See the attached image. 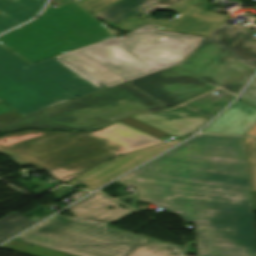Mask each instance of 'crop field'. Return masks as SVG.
Returning <instances> with one entry per match:
<instances>
[{
  "label": "crop field",
  "instance_id": "8a807250",
  "mask_svg": "<svg viewBox=\"0 0 256 256\" xmlns=\"http://www.w3.org/2000/svg\"><path fill=\"white\" fill-rule=\"evenodd\" d=\"M127 34L30 65L0 47V103L24 116L175 66L204 39L150 25Z\"/></svg>",
  "mask_w": 256,
  "mask_h": 256
},
{
  "label": "crop field",
  "instance_id": "ac0d7876",
  "mask_svg": "<svg viewBox=\"0 0 256 256\" xmlns=\"http://www.w3.org/2000/svg\"><path fill=\"white\" fill-rule=\"evenodd\" d=\"M195 224L197 256H256L253 213L176 202ZM109 222L57 215L14 239L76 256H181L183 248L107 227Z\"/></svg>",
  "mask_w": 256,
  "mask_h": 256
},
{
  "label": "crop field",
  "instance_id": "34b2d1b8",
  "mask_svg": "<svg viewBox=\"0 0 256 256\" xmlns=\"http://www.w3.org/2000/svg\"><path fill=\"white\" fill-rule=\"evenodd\" d=\"M155 138L120 122L95 132L25 130L0 136V154L65 183L110 158L165 142Z\"/></svg>",
  "mask_w": 256,
  "mask_h": 256
},
{
  "label": "crop field",
  "instance_id": "412701ff",
  "mask_svg": "<svg viewBox=\"0 0 256 256\" xmlns=\"http://www.w3.org/2000/svg\"><path fill=\"white\" fill-rule=\"evenodd\" d=\"M116 36L77 4L45 12L0 37V44L32 63Z\"/></svg>",
  "mask_w": 256,
  "mask_h": 256
},
{
  "label": "crop field",
  "instance_id": "f4fd0767",
  "mask_svg": "<svg viewBox=\"0 0 256 256\" xmlns=\"http://www.w3.org/2000/svg\"><path fill=\"white\" fill-rule=\"evenodd\" d=\"M167 108L125 83L0 124V132L25 128L93 130L133 113Z\"/></svg>",
  "mask_w": 256,
  "mask_h": 256
},
{
  "label": "crop field",
  "instance_id": "dd49c442",
  "mask_svg": "<svg viewBox=\"0 0 256 256\" xmlns=\"http://www.w3.org/2000/svg\"><path fill=\"white\" fill-rule=\"evenodd\" d=\"M134 171L250 186L239 136L198 134Z\"/></svg>",
  "mask_w": 256,
  "mask_h": 256
},
{
  "label": "crop field",
  "instance_id": "e52e79f7",
  "mask_svg": "<svg viewBox=\"0 0 256 256\" xmlns=\"http://www.w3.org/2000/svg\"><path fill=\"white\" fill-rule=\"evenodd\" d=\"M115 182L136 188L137 202L161 204L172 213H185L172 200L252 209L246 186L135 172Z\"/></svg>",
  "mask_w": 256,
  "mask_h": 256
},
{
  "label": "crop field",
  "instance_id": "d8731c3e",
  "mask_svg": "<svg viewBox=\"0 0 256 256\" xmlns=\"http://www.w3.org/2000/svg\"><path fill=\"white\" fill-rule=\"evenodd\" d=\"M244 32L239 28L217 27L176 67L237 95L256 69L240 74L217 61Z\"/></svg>",
  "mask_w": 256,
  "mask_h": 256
},
{
  "label": "crop field",
  "instance_id": "5a996713",
  "mask_svg": "<svg viewBox=\"0 0 256 256\" xmlns=\"http://www.w3.org/2000/svg\"><path fill=\"white\" fill-rule=\"evenodd\" d=\"M127 83L170 108L217 88L174 66Z\"/></svg>",
  "mask_w": 256,
  "mask_h": 256
},
{
  "label": "crop field",
  "instance_id": "3316defc",
  "mask_svg": "<svg viewBox=\"0 0 256 256\" xmlns=\"http://www.w3.org/2000/svg\"><path fill=\"white\" fill-rule=\"evenodd\" d=\"M194 0H182L164 10L179 13L173 22L155 21L150 24L161 30H169L184 34H196L207 37L228 16L205 11L188 3Z\"/></svg>",
  "mask_w": 256,
  "mask_h": 256
},
{
  "label": "crop field",
  "instance_id": "28ad6ade",
  "mask_svg": "<svg viewBox=\"0 0 256 256\" xmlns=\"http://www.w3.org/2000/svg\"><path fill=\"white\" fill-rule=\"evenodd\" d=\"M189 137V136H188ZM187 138V137H185ZM185 138L178 139L172 142H168L165 144H161L155 147H151L145 150H141L129 155H125L112 161H107L100 166H96L97 168L83 174L82 176L66 183L69 185H75L79 182L87 185L85 189H93L97 188L118 176L126 173L127 171L133 169L138 164L148 160L149 158L155 156L161 151L179 143Z\"/></svg>",
  "mask_w": 256,
  "mask_h": 256
},
{
  "label": "crop field",
  "instance_id": "d1516ede",
  "mask_svg": "<svg viewBox=\"0 0 256 256\" xmlns=\"http://www.w3.org/2000/svg\"><path fill=\"white\" fill-rule=\"evenodd\" d=\"M176 137L195 132L206 119L184 109L171 112L140 114L131 116Z\"/></svg>",
  "mask_w": 256,
  "mask_h": 256
},
{
  "label": "crop field",
  "instance_id": "22f410ed",
  "mask_svg": "<svg viewBox=\"0 0 256 256\" xmlns=\"http://www.w3.org/2000/svg\"><path fill=\"white\" fill-rule=\"evenodd\" d=\"M256 122V109L237 100L203 132L245 135Z\"/></svg>",
  "mask_w": 256,
  "mask_h": 256
},
{
  "label": "crop field",
  "instance_id": "cbeb9de0",
  "mask_svg": "<svg viewBox=\"0 0 256 256\" xmlns=\"http://www.w3.org/2000/svg\"><path fill=\"white\" fill-rule=\"evenodd\" d=\"M119 204V202L96 192L67 209L73 216L114 222L135 212L131 209H121L118 207ZM107 206L114 207V209L108 210Z\"/></svg>",
  "mask_w": 256,
  "mask_h": 256
},
{
  "label": "crop field",
  "instance_id": "5142ce71",
  "mask_svg": "<svg viewBox=\"0 0 256 256\" xmlns=\"http://www.w3.org/2000/svg\"><path fill=\"white\" fill-rule=\"evenodd\" d=\"M248 30L218 61L240 73L256 68V37Z\"/></svg>",
  "mask_w": 256,
  "mask_h": 256
},
{
  "label": "crop field",
  "instance_id": "d9b57169",
  "mask_svg": "<svg viewBox=\"0 0 256 256\" xmlns=\"http://www.w3.org/2000/svg\"><path fill=\"white\" fill-rule=\"evenodd\" d=\"M45 1L0 0V33L37 15Z\"/></svg>",
  "mask_w": 256,
  "mask_h": 256
},
{
  "label": "crop field",
  "instance_id": "733c2abd",
  "mask_svg": "<svg viewBox=\"0 0 256 256\" xmlns=\"http://www.w3.org/2000/svg\"><path fill=\"white\" fill-rule=\"evenodd\" d=\"M158 1L160 0H121L94 16L119 24Z\"/></svg>",
  "mask_w": 256,
  "mask_h": 256
},
{
  "label": "crop field",
  "instance_id": "4a817a6b",
  "mask_svg": "<svg viewBox=\"0 0 256 256\" xmlns=\"http://www.w3.org/2000/svg\"><path fill=\"white\" fill-rule=\"evenodd\" d=\"M216 92H219L218 96H213V94L202 96L182 107L210 118L212 115L218 112L231 98L234 97L221 90Z\"/></svg>",
  "mask_w": 256,
  "mask_h": 256
},
{
  "label": "crop field",
  "instance_id": "bc2a9ffb",
  "mask_svg": "<svg viewBox=\"0 0 256 256\" xmlns=\"http://www.w3.org/2000/svg\"><path fill=\"white\" fill-rule=\"evenodd\" d=\"M36 222V220L27 218L14 212L1 218L0 243Z\"/></svg>",
  "mask_w": 256,
  "mask_h": 256
},
{
  "label": "crop field",
  "instance_id": "214f88e0",
  "mask_svg": "<svg viewBox=\"0 0 256 256\" xmlns=\"http://www.w3.org/2000/svg\"><path fill=\"white\" fill-rule=\"evenodd\" d=\"M252 191H256V137H245Z\"/></svg>",
  "mask_w": 256,
  "mask_h": 256
},
{
  "label": "crop field",
  "instance_id": "92a150f3",
  "mask_svg": "<svg viewBox=\"0 0 256 256\" xmlns=\"http://www.w3.org/2000/svg\"><path fill=\"white\" fill-rule=\"evenodd\" d=\"M120 122L124 123V124H127L131 127H134L144 133H147L153 137H156V138H161V137H164V136H167L169 134L161 131V130H158L150 125H147L143 122H140L138 120H135L131 117H128V118H125V119H122Z\"/></svg>",
  "mask_w": 256,
  "mask_h": 256
},
{
  "label": "crop field",
  "instance_id": "dafd665d",
  "mask_svg": "<svg viewBox=\"0 0 256 256\" xmlns=\"http://www.w3.org/2000/svg\"><path fill=\"white\" fill-rule=\"evenodd\" d=\"M119 0H81L79 3L93 15Z\"/></svg>",
  "mask_w": 256,
  "mask_h": 256
},
{
  "label": "crop field",
  "instance_id": "00972430",
  "mask_svg": "<svg viewBox=\"0 0 256 256\" xmlns=\"http://www.w3.org/2000/svg\"><path fill=\"white\" fill-rule=\"evenodd\" d=\"M177 1H179V0H167V1L162 0V1L150 6L149 8L143 10L142 12H140V13L134 15V16L141 19V18H143L147 15H150L154 12H157V11H159V10H161V9H163V8L169 6V5H171V4H173Z\"/></svg>",
  "mask_w": 256,
  "mask_h": 256
},
{
  "label": "crop field",
  "instance_id": "a9b5d70f",
  "mask_svg": "<svg viewBox=\"0 0 256 256\" xmlns=\"http://www.w3.org/2000/svg\"><path fill=\"white\" fill-rule=\"evenodd\" d=\"M239 99L256 107V77Z\"/></svg>",
  "mask_w": 256,
  "mask_h": 256
},
{
  "label": "crop field",
  "instance_id": "4177f3b9",
  "mask_svg": "<svg viewBox=\"0 0 256 256\" xmlns=\"http://www.w3.org/2000/svg\"><path fill=\"white\" fill-rule=\"evenodd\" d=\"M246 135H256V124L249 130Z\"/></svg>",
  "mask_w": 256,
  "mask_h": 256
},
{
  "label": "crop field",
  "instance_id": "730fd06b",
  "mask_svg": "<svg viewBox=\"0 0 256 256\" xmlns=\"http://www.w3.org/2000/svg\"><path fill=\"white\" fill-rule=\"evenodd\" d=\"M252 194H253L254 206L256 209V192H252Z\"/></svg>",
  "mask_w": 256,
  "mask_h": 256
}]
</instances>
